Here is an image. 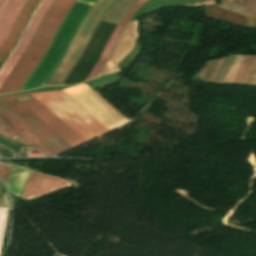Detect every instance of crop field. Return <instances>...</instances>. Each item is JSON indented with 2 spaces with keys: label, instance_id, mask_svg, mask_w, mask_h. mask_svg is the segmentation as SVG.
Instances as JSON below:
<instances>
[{
  "label": "crop field",
  "instance_id": "crop-field-6",
  "mask_svg": "<svg viewBox=\"0 0 256 256\" xmlns=\"http://www.w3.org/2000/svg\"><path fill=\"white\" fill-rule=\"evenodd\" d=\"M115 27L116 25L101 21L86 50L84 51L80 61L78 62L64 85L85 81L89 73L96 65Z\"/></svg>",
  "mask_w": 256,
  "mask_h": 256
},
{
  "label": "crop field",
  "instance_id": "crop-field-19",
  "mask_svg": "<svg viewBox=\"0 0 256 256\" xmlns=\"http://www.w3.org/2000/svg\"><path fill=\"white\" fill-rule=\"evenodd\" d=\"M11 168L0 167V178L6 182Z\"/></svg>",
  "mask_w": 256,
  "mask_h": 256
},
{
  "label": "crop field",
  "instance_id": "crop-field-1",
  "mask_svg": "<svg viewBox=\"0 0 256 256\" xmlns=\"http://www.w3.org/2000/svg\"><path fill=\"white\" fill-rule=\"evenodd\" d=\"M76 0H55L44 15L28 47L0 87V94L20 91L52 41Z\"/></svg>",
  "mask_w": 256,
  "mask_h": 256
},
{
  "label": "crop field",
  "instance_id": "crop-field-22",
  "mask_svg": "<svg viewBox=\"0 0 256 256\" xmlns=\"http://www.w3.org/2000/svg\"><path fill=\"white\" fill-rule=\"evenodd\" d=\"M4 194H6V196H7V193H6V192H5ZM4 194H3V195H4ZM3 195L0 197V207L7 208V207H8V202H9L8 196H7L8 202H7V200H6V197L4 196V197H5V201H6V206H7V207H5V201H4ZM9 208H10V205H9Z\"/></svg>",
  "mask_w": 256,
  "mask_h": 256
},
{
  "label": "crop field",
  "instance_id": "crop-field-25",
  "mask_svg": "<svg viewBox=\"0 0 256 256\" xmlns=\"http://www.w3.org/2000/svg\"><path fill=\"white\" fill-rule=\"evenodd\" d=\"M201 1H204V0H201Z\"/></svg>",
  "mask_w": 256,
  "mask_h": 256
},
{
  "label": "crop field",
  "instance_id": "crop-field-20",
  "mask_svg": "<svg viewBox=\"0 0 256 256\" xmlns=\"http://www.w3.org/2000/svg\"><path fill=\"white\" fill-rule=\"evenodd\" d=\"M253 59H254V57H251V58H250V60H249V62L247 63V65H246V67H245V69H244V71H243V73H242V75H241V77H240L238 83H241V81H242L244 75L246 74V72H247L249 66L251 65Z\"/></svg>",
  "mask_w": 256,
  "mask_h": 256
},
{
  "label": "crop field",
  "instance_id": "crop-field-24",
  "mask_svg": "<svg viewBox=\"0 0 256 256\" xmlns=\"http://www.w3.org/2000/svg\"><path fill=\"white\" fill-rule=\"evenodd\" d=\"M0 191H2V185H1V183H0Z\"/></svg>",
  "mask_w": 256,
  "mask_h": 256
},
{
  "label": "crop field",
  "instance_id": "crop-field-7",
  "mask_svg": "<svg viewBox=\"0 0 256 256\" xmlns=\"http://www.w3.org/2000/svg\"><path fill=\"white\" fill-rule=\"evenodd\" d=\"M0 102L59 153L73 147L12 95L1 97Z\"/></svg>",
  "mask_w": 256,
  "mask_h": 256
},
{
  "label": "crop field",
  "instance_id": "crop-field-9",
  "mask_svg": "<svg viewBox=\"0 0 256 256\" xmlns=\"http://www.w3.org/2000/svg\"><path fill=\"white\" fill-rule=\"evenodd\" d=\"M20 102H22L26 107H28L32 112H34L38 117H43L51 114L45 107H43L39 102H37L29 94L24 95H13ZM45 123H47L51 128H53L57 133H59L63 138H65L73 146L84 142L77 134H75L71 129H69L64 123H62L53 114L41 118Z\"/></svg>",
  "mask_w": 256,
  "mask_h": 256
},
{
  "label": "crop field",
  "instance_id": "crop-field-2",
  "mask_svg": "<svg viewBox=\"0 0 256 256\" xmlns=\"http://www.w3.org/2000/svg\"><path fill=\"white\" fill-rule=\"evenodd\" d=\"M93 5L97 0H84ZM78 0L68 15L63 20L47 52L21 89V91L31 90L44 85L59 62L64 57L80 25L93 8V5Z\"/></svg>",
  "mask_w": 256,
  "mask_h": 256
},
{
  "label": "crop field",
  "instance_id": "crop-field-16",
  "mask_svg": "<svg viewBox=\"0 0 256 256\" xmlns=\"http://www.w3.org/2000/svg\"><path fill=\"white\" fill-rule=\"evenodd\" d=\"M30 171L31 170L15 165L13 166V169L6 182L11 193L20 196Z\"/></svg>",
  "mask_w": 256,
  "mask_h": 256
},
{
  "label": "crop field",
  "instance_id": "crop-field-15",
  "mask_svg": "<svg viewBox=\"0 0 256 256\" xmlns=\"http://www.w3.org/2000/svg\"><path fill=\"white\" fill-rule=\"evenodd\" d=\"M147 0H139L138 2H136L126 13V15L123 17V19L121 20V22L119 23V25L117 26V28L114 30V32L112 33L97 65L95 66V68L93 69V71L91 72V74L88 76V78L86 80H89L91 78H94L95 75L97 74V72L100 70V68L102 67L106 57L108 56L112 46L114 45L118 35L120 34V32L122 31V29L125 27V25L127 24V22L129 21V19L132 17V15L134 14V12L137 10V8L143 4L144 2H146Z\"/></svg>",
  "mask_w": 256,
  "mask_h": 256
},
{
  "label": "crop field",
  "instance_id": "crop-field-26",
  "mask_svg": "<svg viewBox=\"0 0 256 256\" xmlns=\"http://www.w3.org/2000/svg\"><path fill=\"white\" fill-rule=\"evenodd\" d=\"M230 1H232V0H230Z\"/></svg>",
  "mask_w": 256,
  "mask_h": 256
},
{
  "label": "crop field",
  "instance_id": "crop-field-23",
  "mask_svg": "<svg viewBox=\"0 0 256 256\" xmlns=\"http://www.w3.org/2000/svg\"><path fill=\"white\" fill-rule=\"evenodd\" d=\"M245 6L252 7L256 9V0H247Z\"/></svg>",
  "mask_w": 256,
  "mask_h": 256
},
{
  "label": "crop field",
  "instance_id": "crop-field-4",
  "mask_svg": "<svg viewBox=\"0 0 256 256\" xmlns=\"http://www.w3.org/2000/svg\"><path fill=\"white\" fill-rule=\"evenodd\" d=\"M114 0H98L90 14L81 25L65 57L50 76L45 85H61L78 60L93 28Z\"/></svg>",
  "mask_w": 256,
  "mask_h": 256
},
{
  "label": "crop field",
  "instance_id": "crop-field-21",
  "mask_svg": "<svg viewBox=\"0 0 256 256\" xmlns=\"http://www.w3.org/2000/svg\"><path fill=\"white\" fill-rule=\"evenodd\" d=\"M249 58H250V57H246V58H245V60H244V62H243V64H242V66H241V68H240L238 74L236 75V77H235L233 83H236V81H237L239 75L241 74V72H242L243 68L245 67L246 63L248 62Z\"/></svg>",
  "mask_w": 256,
  "mask_h": 256
},
{
  "label": "crop field",
  "instance_id": "crop-field-14",
  "mask_svg": "<svg viewBox=\"0 0 256 256\" xmlns=\"http://www.w3.org/2000/svg\"><path fill=\"white\" fill-rule=\"evenodd\" d=\"M27 0H0V45Z\"/></svg>",
  "mask_w": 256,
  "mask_h": 256
},
{
  "label": "crop field",
  "instance_id": "crop-field-11",
  "mask_svg": "<svg viewBox=\"0 0 256 256\" xmlns=\"http://www.w3.org/2000/svg\"><path fill=\"white\" fill-rule=\"evenodd\" d=\"M53 1L54 0H44L42 2V4L40 5V7L35 12L19 45L17 46V48L15 49V51L13 52V54L11 55V57L5 64V66L0 71V86L3 83V81L5 80V78L7 77V75L9 74V72L11 71V69L13 68V66L15 65V63L17 62V60L19 59V57L21 56V54L23 53V51L25 50V48L27 47V45H28L31 37L33 36L37 26L39 25L43 15L48 10V8L50 7V5L52 4Z\"/></svg>",
  "mask_w": 256,
  "mask_h": 256
},
{
  "label": "crop field",
  "instance_id": "crop-field-12",
  "mask_svg": "<svg viewBox=\"0 0 256 256\" xmlns=\"http://www.w3.org/2000/svg\"><path fill=\"white\" fill-rule=\"evenodd\" d=\"M40 0H28L21 9L17 19L15 20L11 30L9 31L5 41L0 47V64L10 52L15 44L19 34L21 33L25 23L27 22L31 12Z\"/></svg>",
  "mask_w": 256,
  "mask_h": 256
},
{
  "label": "crop field",
  "instance_id": "crop-field-8",
  "mask_svg": "<svg viewBox=\"0 0 256 256\" xmlns=\"http://www.w3.org/2000/svg\"><path fill=\"white\" fill-rule=\"evenodd\" d=\"M0 117L4 119L8 124H10L15 130H17L22 136H24L28 141H30L35 147H37L46 156H54L58 154L57 151H55L51 146H49L44 140H42L37 134H35L31 129H29L24 123H22L17 117H15L11 112H9L1 104H0ZM1 118H0V133L12 139H15L25 145L31 144Z\"/></svg>",
  "mask_w": 256,
  "mask_h": 256
},
{
  "label": "crop field",
  "instance_id": "crop-field-3",
  "mask_svg": "<svg viewBox=\"0 0 256 256\" xmlns=\"http://www.w3.org/2000/svg\"><path fill=\"white\" fill-rule=\"evenodd\" d=\"M37 101L63 121L85 141L108 131L62 90L33 93Z\"/></svg>",
  "mask_w": 256,
  "mask_h": 256
},
{
  "label": "crop field",
  "instance_id": "crop-field-17",
  "mask_svg": "<svg viewBox=\"0 0 256 256\" xmlns=\"http://www.w3.org/2000/svg\"><path fill=\"white\" fill-rule=\"evenodd\" d=\"M199 2V0H150L146 4H144L140 10L136 13V17L143 16L155 9L172 6V5H180V4H189Z\"/></svg>",
  "mask_w": 256,
  "mask_h": 256
},
{
  "label": "crop field",
  "instance_id": "crop-field-5",
  "mask_svg": "<svg viewBox=\"0 0 256 256\" xmlns=\"http://www.w3.org/2000/svg\"><path fill=\"white\" fill-rule=\"evenodd\" d=\"M63 91L109 130L127 122V120L123 118L124 116L122 117L118 112H116L117 110L115 111L85 84Z\"/></svg>",
  "mask_w": 256,
  "mask_h": 256
},
{
  "label": "crop field",
  "instance_id": "crop-field-10",
  "mask_svg": "<svg viewBox=\"0 0 256 256\" xmlns=\"http://www.w3.org/2000/svg\"><path fill=\"white\" fill-rule=\"evenodd\" d=\"M137 40V22H131L120 35L105 67L99 73V76L119 71L116 64L133 49Z\"/></svg>",
  "mask_w": 256,
  "mask_h": 256
},
{
  "label": "crop field",
  "instance_id": "crop-field-13",
  "mask_svg": "<svg viewBox=\"0 0 256 256\" xmlns=\"http://www.w3.org/2000/svg\"><path fill=\"white\" fill-rule=\"evenodd\" d=\"M69 184L68 182L51 177L36 171H31L29 179L27 181V184L25 186V189L23 191V195L27 197H32L36 194L55 189L64 185ZM49 192V191H48ZM46 193V192H45ZM43 194V193H42ZM40 195V194H39ZM22 198H25L29 200L28 198L22 196Z\"/></svg>",
  "mask_w": 256,
  "mask_h": 256
},
{
  "label": "crop field",
  "instance_id": "crop-field-18",
  "mask_svg": "<svg viewBox=\"0 0 256 256\" xmlns=\"http://www.w3.org/2000/svg\"><path fill=\"white\" fill-rule=\"evenodd\" d=\"M219 8L252 18L256 20V10L250 9V8H246L225 0H222Z\"/></svg>",
  "mask_w": 256,
  "mask_h": 256
}]
</instances>
